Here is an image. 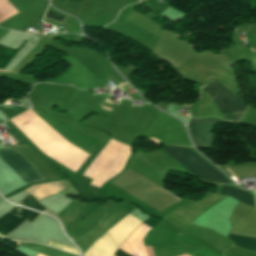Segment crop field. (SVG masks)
<instances>
[{
	"label": "crop field",
	"mask_w": 256,
	"mask_h": 256,
	"mask_svg": "<svg viewBox=\"0 0 256 256\" xmlns=\"http://www.w3.org/2000/svg\"><path fill=\"white\" fill-rule=\"evenodd\" d=\"M163 151L187 169L191 174L200 179L220 183H230L189 149L167 146Z\"/></svg>",
	"instance_id": "crop-field-1"
},
{
	"label": "crop field",
	"mask_w": 256,
	"mask_h": 256,
	"mask_svg": "<svg viewBox=\"0 0 256 256\" xmlns=\"http://www.w3.org/2000/svg\"><path fill=\"white\" fill-rule=\"evenodd\" d=\"M202 88L209 94L223 119L239 121L246 108L234 95L214 80Z\"/></svg>",
	"instance_id": "crop-field-2"
},
{
	"label": "crop field",
	"mask_w": 256,
	"mask_h": 256,
	"mask_svg": "<svg viewBox=\"0 0 256 256\" xmlns=\"http://www.w3.org/2000/svg\"><path fill=\"white\" fill-rule=\"evenodd\" d=\"M0 157L28 185L45 179L15 148L0 149Z\"/></svg>",
	"instance_id": "crop-field-3"
},
{
	"label": "crop field",
	"mask_w": 256,
	"mask_h": 256,
	"mask_svg": "<svg viewBox=\"0 0 256 256\" xmlns=\"http://www.w3.org/2000/svg\"><path fill=\"white\" fill-rule=\"evenodd\" d=\"M217 122H228L220 119H192L190 135L197 147H212V129ZM233 123V122H228Z\"/></svg>",
	"instance_id": "crop-field-4"
},
{
	"label": "crop field",
	"mask_w": 256,
	"mask_h": 256,
	"mask_svg": "<svg viewBox=\"0 0 256 256\" xmlns=\"http://www.w3.org/2000/svg\"><path fill=\"white\" fill-rule=\"evenodd\" d=\"M41 214L15 206L0 218V236L3 238L25 220L35 221Z\"/></svg>",
	"instance_id": "crop-field-5"
},
{
	"label": "crop field",
	"mask_w": 256,
	"mask_h": 256,
	"mask_svg": "<svg viewBox=\"0 0 256 256\" xmlns=\"http://www.w3.org/2000/svg\"><path fill=\"white\" fill-rule=\"evenodd\" d=\"M220 194L229 195V196L236 198L237 200L255 208L253 196L244 191L223 185Z\"/></svg>",
	"instance_id": "crop-field-6"
},
{
	"label": "crop field",
	"mask_w": 256,
	"mask_h": 256,
	"mask_svg": "<svg viewBox=\"0 0 256 256\" xmlns=\"http://www.w3.org/2000/svg\"><path fill=\"white\" fill-rule=\"evenodd\" d=\"M228 238L242 249L256 252V238L229 234Z\"/></svg>",
	"instance_id": "crop-field-7"
},
{
	"label": "crop field",
	"mask_w": 256,
	"mask_h": 256,
	"mask_svg": "<svg viewBox=\"0 0 256 256\" xmlns=\"http://www.w3.org/2000/svg\"><path fill=\"white\" fill-rule=\"evenodd\" d=\"M20 204L26 206V207H30V208H34V209H38L41 211H47L48 209H46L44 206H42L32 195H28L27 197H25L22 201H20Z\"/></svg>",
	"instance_id": "crop-field-8"
},
{
	"label": "crop field",
	"mask_w": 256,
	"mask_h": 256,
	"mask_svg": "<svg viewBox=\"0 0 256 256\" xmlns=\"http://www.w3.org/2000/svg\"><path fill=\"white\" fill-rule=\"evenodd\" d=\"M48 246L55 247V248H58V249H61V250L67 251V252H71V253L80 255L79 251L76 249H73L71 247H66V246L51 242V241H49Z\"/></svg>",
	"instance_id": "crop-field-9"
},
{
	"label": "crop field",
	"mask_w": 256,
	"mask_h": 256,
	"mask_svg": "<svg viewBox=\"0 0 256 256\" xmlns=\"http://www.w3.org/2000/svg\"><path fill=\"white\" fill-rule=\"evenodd\" d=\"M45 17L53 19V20H56V21H60V22H62L65 19V17H63L61 15H58L56 13H53V12H51L49 10L47 11V14H46Z\"/></svg>",
	"instance_id": "crop-field-10"
},
{
	"label": "crop field",
	"mask_w": 256,
	"mask_h": 256,
	"mask_svg": "<svg viewBox=\"0 0 256 256\" xmlns=\"http://www.w3.org/2000/svg\"><path fill=\"white\" fill-rule=\"evenodd\" d=\"M114 256H131V255L118 249L117 252L114 254Z\"/></svg>",
	"instance_id": "crop-field-11"
},
{
	"label": "crop field",
	"mask_w": 256,
	"mask_h": 256,
	"mask_svg": "<svg viewBox=\"0 0 256 256\" xmlns=\"http://www.w3.org/2000/svg\"><path fill=\"white\" fill-rule=\"evenodd\" d=\"M223 168H224V167H223ZM224 169H225L226 171H228V170H229L228 168H227L228 170H227L226 168H224ZM228 172H229V171H228ZM229 173L232 175V173H231V172H229ZM233 174H234V173H233ZM233 177L238 181V179H239V178H238L235 174L233 175Z\"/></svg>",
	"instance_id": "crop-field-12"
},
{
	"label": "crop field",
	"mask_w": 256,
	"mask_h": 256,
	"mask_svg": "<svg viewBox=\"0 0 256 256\" xmlns=\"http://www.w3.org/2000/svg\"><path fill=\"white\" fill-rule=\"evenodd\" d=\"M106 102H109L108 98L106 99ZM110 103V102H109ZM112 104V103H111Z\"/></svg>",
	"instance_id": "crop-field-13"
},
{
	"label": "crop field",
	"mask_w": 256,
	"mask_h": 256,
	"mask_svg": "<svg viewBox=\"0 0 256 256\" xmlns=\"http://www.w3.org/2000/svg\"><path fill=\"white\" fill-rule=\"evenodd\" d=\"M37 256H44V255L39 254V255H37Z\"/></svg>",
	"instance_id": "crop-field-14"
},
{
	"label": "crop field",
	"mask_w": 256,
	"mask_h": 256,
	"mask_svg": "<svg viewBox=\"0 0 256 256\" xmlns=\"http://www.w3.org/2000/svg\"><path fill=\"white\" fill-rule=\"evenodd\" d=\"M252 50V49H251ZM254 51V50H253ZM255 52V51H254Z\"/></svg>",
	"instance_id": "crop-field-15"
}]
</instances>
